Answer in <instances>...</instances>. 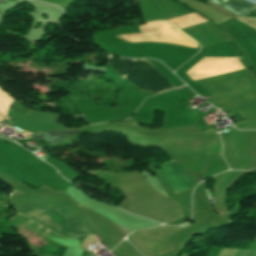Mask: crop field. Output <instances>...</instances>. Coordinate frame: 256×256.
<instances>
[{
	"label": "crop field",
	"mask_w": 256,
	"mask_h": 256,
	"mask_svg": "<svg viewBox=\"0 0 256 256\" xmlns=\"http://www.w3.org/2000/svg\"><path fill=\"white\" fill-rule=\"evenodd\" d=\"M109 64L130 83L143 91L159 93L174 87L148 62L109 57Z\"/></svg>",
	"instance_id": "crop-field-1"
},
{
	"label": "crop field",
	"mask_w": 256,
	"mask_h": 256,
	"mask_svg": "<svg viewBox=\"0 0 256 256\" xmlns=\"http://www.w3.org/2000/svg\"><path fill=\"white\" fill-rule=\"evenodd\" d=\"M47 207L49 206H38L23 215L29 217ZM69 217L70 213L68 211L51 206L29 218L56 233L67 237ZM84 234L90 233L71 215L68 237H76Z\"/></svg>",
	"instance_id": "crop-field-2"
},
{
	"label": "crop field",
	"mask_w": 256,
	"mask_h": 256,
	"mask_svg": "<svg viewBox=\"0 0 256 256\" xmlns=\"http://www.w3.org/2000/svg\"><path fill=\"white\" fill-rule=\"evenodd\" d=\"M176 162V161H175ZM174 161L167 162L162 165L164 174L166 175L169 183L171 184L175 194L191 189L190 184L179 168L178 164Z\"/></svg>",
	"instance_id": "crop-field-3"
},
{
	"label": "crop field",
	"mask_w": 256,
	"mask_h": 256,
	"mask_svg": "<svg viewBox=\"0 0 256 256\" xmlns=\"http://www.w3.org/2000/svg\"><path fill=\"white\" fill-rule=\"evenodd\" d=\"M215 4H218L240 16H244L252 7L253 5L248 4L241 0H227L224 5L220 4L221 0H210Z\"/></svg>",
	"instance_id": "crop-field-4"
},
{
	"label": "crop field",
	"mask_w": 256,
	"mask_h": 256,
	"mask_svg": "<svg viewBox=\"0 0 256 256\" xmlns=\"http://www.w3.org/2000/svg\"><path fill=\"white\" fill-rule=\"evenodd\" d=\"M81 131H58V132H46L42 134L32 135L31 137L45 140L46 142L54 145L57 142L67 138L68 136L80 133Z\"/></svg>",
	"instance_id": "crop-field-5"
},
{
	"label": "crop field",
	"mask_w": 256,
	"mask_h": 256,
	"mask_svg": "<svg viewBox=\"0 0 256 256\" xmlns=\"http://www.w3.org/2000/svg\"><path fill=\"white\" fill-rule=\"evenodd\" d=\"M249 15H251V16H253V17H256V12H254V11H250V13H249Z\"/></svg>",
	"instance_id": "crop-field-6"
},
{
	"label": "crop field",
	"mask_w": 256,
	"mask_h": 256,
	"mask_svg": "<svg viewBox=\"0 0 256 256\" xmlns=\"http://www.w3.org/2000/svg\"><path fill=\"white\" fill-rule=\"evenodd\" d=\"M29 134H31V133H29Z\"/></svg>",
	"instance_id": "crop-field-7"
}]
</instances>
